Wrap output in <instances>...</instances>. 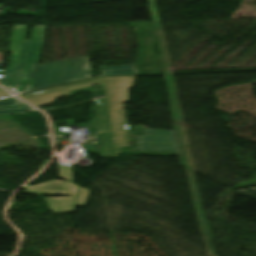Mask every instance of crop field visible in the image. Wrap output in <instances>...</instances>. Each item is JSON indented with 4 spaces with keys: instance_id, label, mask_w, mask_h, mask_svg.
<instances>
[{
    "instance_id": "obj_7",
    "label": "crop field",
    "mask_w": 256,
    "mask_h": 256,
    "mask_svg": "<svg viewBox=\"0 0 256 256\" xmlns=\"http://www.w3.org/2000/svg\"><path fill=\"white\" fill-rule=\"evenodd\" d=\"M31 109H33V107L18 98L0 101V114L23 113Z\"/></svg>"
},
{
    "instance_id": "obj_3",
    "label": "crop field",
    "mask_w": 256,
    "mask_h": 256,
    "mask_svg": "<svg viewBox=\"0 0 256 256\" xmlns=\"http://www.w3.org/2000/svg\"><path fill=\"white\" fill-rule=\"evenodd\" d=\"M135 76L105 77L114 125L116 149L128 145L123 103L129 101L128 90Z\"/></svg>"
},
{
    "instance_id": "obj_8",
    "label": "crop field",
    "mask_w": 256,
    "mask_h": 256,
    "mask_svg": "<svg viewBox=\"0 0 256 256\" xmlns=\"http://www.w3.org/2000/svg\"><path fill=\"white\" fill-rule=\"evenodd\" d=\"M102 75L134 74L137 73L133 65L100 68Z\"/></svg>"
},
{
    "instance_id": "obj_5",
    "label": "crop field",
    "mask_w": 256,
    "mask_h": 256,
    "mask_svg": "<svg viewBox=\"0 0 256 256\" xmlns=\"http://www.w3.org/2000/svg\"><path fill=\"white\" fill-rule=\"evenodd\" d=\"M105 97L98 98V108L94 118L95 127L99 132H103L105 144L99 147L100 156H115L112 135L111 118L104 83L102 84Z\"/></svg>"
},
{
    "instance_id": "obj_2",
    "label": "crop field",
    "mask_w": 256,
    "mask_h": 256,
    "mask_svg": "<svg viewBox=\"0 0 256 256\" xmlns=\"http://www.w3.org/2000/svg\"><path fill=\"white\" fill-rule=\"evenodd\" d=\"M25 192L51 195L62 194L71 197L44 198L52 213L74 212V207L84 206L88 190L69 181L52 180L34 186L24 185Z\"/></svg>"
},
{
    "instance_id": "obj_10",
    "label": "crop field",
    "mask_w": 256,
    "mask_h": 256,
    "mask_svg": "<svg viewBox=\"0 0 256 256\" xmlns=\"http://www.w3.org/2000/svg\"><path fill=\"white\" fill-rule=\"evenodd\" d=\"M11 95L12 94H10L8 91L3 90V89L0 88V98L11 96Z\"/></svg>"
},
{
    "instance_id": "obj_6",
    "label": "crop field",
    "mask_w": 256,
    "mask_h": 256,
    "mask_svg": "<svg viewBox=\"0 0 256 256\" xmlns=\"http://www.w3.org/2000/svg\"><path fill=\"white\" fill-rule=\"evenodd\" d=\"M103 82H104L103 78L100 77L96 80H92V81H88V82H83V83L74 84V85L65 86V87L54 88V89H50V90H46V91H42V92H38V93L26 95V96H22V98H24L25 100H27V101L31 102L32 104L38 106V105L53 102L57 97L69 95V93L67 91L78 89V88H83V87H87V86H91V85H94V84H100V83H103Z\"/></svg>"
},
{
    "instance_id": "obj_4",
    "label": "crop field",
    "mask_w": 256,
    "mask_h": 256,
    "mask_svg": "<svg viewBox=\"0 0 256 256\" xmlns=\"http://www.w3.org/2000/svg\"><path fill=\"white\" fill-rule=\"evenodd\" d=\"M138 143L141 154L178 156L173 130L147 129Z\"/></svg>"
},
{
    "instance_id": "obj_9",
    "label": "crop field",
    "mask_w": 256,
    "mask_h": 256,
    "mask_svg": "<svg viewBox=\"0 0 256 256\" xmlns=\"http://www.w3.org/2000/svg\"><path fill=\"white\" fill-rule=\"evenodd\" d=\"M58 167H59V177H62L66 180L73 182L71 165L58 164Z\"/></svg>"
},
{
    "instance_id": "obj_1",
    "label": "crop field",
    "mask_w": 256,
    "mask_h": 256,
    "mask_svg": "<svg viewBox=\"0 0 256 256\" xmlns=\"http://www.w3.org/2000/svg\"><path fill=\"white\" fill-rule=\"evenodd\" d=\"M27 25H15L8 69L1 84L24 93L91 76L88 57L37 65L45 26H35L31 41H23Z\"/></svg>"
}]
</instances>
